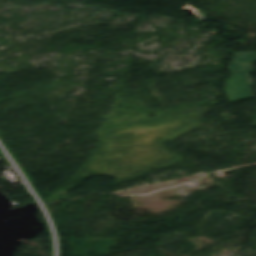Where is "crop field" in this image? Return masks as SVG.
Masks as SVG:
<instances>
[{
	"label": "crop field",
	"instance_id": "8a807250",
	"mask_svg": "<svg viewBox=\"0 0 256 256\" xmlns=\"http://www.w3.org/2000/svg\"><path fill=\"white\" fill-rule=\"evenodd\" d=\"M252 62L256 53H236L231 64V79L226 80V91L232 103L254 98L250 85H254L249 73H253Z\"/></svg>",
	"mask_w": 256,
	"mask_h": 256
}]
</instances>
